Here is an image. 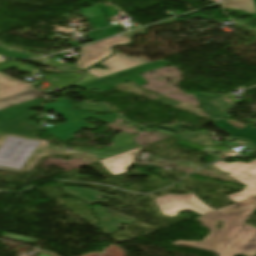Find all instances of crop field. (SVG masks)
<instances>
[{
    "label": "crop field",
    "mask_w": 256,
    "mask_h": 256,
    "mask_svg": "<svg viewBox=\"0 0 256 256\" xmlns=\"http://www.w3.org/2000/svg\"><path fill=\"white\" fill-rule=\"evenodd\" d=\"M255 209L256 197L204 214L196 220L211 231L203 241L172 245L202 248L218 256H256V228L244 224ZM217 220L223 221V230H215Z\"/></svg>",
    "instance_id": "1"
},
{
    "label": "crop field",
    "mask_w": 256,
    "mask_h": 256,
    "mask_svg": "<svg viewBox=\"0 0 256 256\" xmlns=\"http://www.w3.org/2000/svg\"><path fill=\"white\" fill-rule=\"evenodd\" d=\"M81 52L82 55L79 57V60L75 66L82 70L85 68H89L95 63L101 61L103 58L114 54L111 49L98 43L81 48ZM145 63L148 62L145 60L130 59L129 57L121 53H116L106 61L100 63L107 66L108 70L105 71L102 69H89L86 72L97 78H100Z\"/></svg>",
    "instance_id": "2"
},
{
    "label": "crop field",
    "mask_w": 256,
    "mask_h": 256,
    "mask_svg": "<svg viewBox=\"0 0 256 256\" xmlns=\"http://www.w3.org/2000/svg\"><path fill=\"white\" fill-rule=\"evenodd\" d=\"M46 108L56 111L67 122L55 127L44 128L45 131L50 133L55 138L65 142L73 139L74 133L82 128L95 129L96 127L85 122L84 119L93 118L100 122L112 123L118 116L109 115H94V114H81L73 111L71 102L66 99L47 103Z\"/></svg>",
    "instance_id": "3"
},
{
    "label": "crop field",
    "mask_w": 256,
    "mask_h": 256,
    "mask_svg": "<svg viewBox=\"0 0 256 256\" xmlns=\"http://www.w3.org/2000/svg\"><path fill=\"white\" fill-rule=\"evenodd\" d=\"M42 103L43 101L37 98L14 107L0 110V132L32 137L39 130V127L29 120L35 118V116L28 110L41 107Z\"/></svg>",
    "instance_id": "4"
},
{
    "label": "crop field",
    "mask_w": 256,
    "mask_h": 256,
    "mask_svg": "<svg viewBox=\"0 0 256 256\" xmlns=\"http://www.w3.org/2000/svg\"><path fill=\"white\" fill-rule=\"evenodd\" d=\"M212 165L221 171L230 172V177L242 184H246L242 191L226 195L228 199L237 203L256 196V160L250 164L220 161Z\"/></svg>",
    "instance_id": "5"
},
{
    "label": "crop field",
    "mask_w": 256,
    "mask_h": 256,
    "mask_svg": "<svg viewBox=\"0 0 256 256\" xmlns=\"http://www.w3.org/2000/svg\"><path fill=\"white\" fill-rule=\"evenodd\" d=\"M165 65L169 64L163 60H159L129 70H125L113 75H109L77 87L85 89H96L100 92H104L113 89V87L119 85V83L128 81H135L137 85L140 86L146 84V81L142 78V76L139 73L149 71Z\"/></svg>",
    "instance_id": "6"
},
{
    "label": "crop field",
    "mask_w": 256,
    "mask_h": 256,
    "mask_svg": "<svg viewBox=\"0 0 256 256\" xmlns=\"http://www.w3.org/2000/svg\"><path fill=\"white\" fill-rule=\"evenodd\" d=\"M43 96L31 83L9 78L0 72V109Z\"/></svg>",
    "instance_id": "7"
},
{
    "label": "crop field",
    "mask_w": 256,
    "mask_h": 256,
    "mask_svg": "<svg viewBox=\"0 0 256 256\" xmlns=\"http://www.w3.org/2000/svg\"><path fill=\"white\" fill-rule=\"evenodd\" d=\"M154 200L161 213L169 217L178 215L177 212L185 210H192L200 215L214 211L202 203L193 193L186 195L171 194Z\"/></svg>",
    "instance_id": "8"
},
{
    "label": "crop field",
    "mask_w": 256,
    "mask_h": 256,
    "mask_svg": "<svg viewBox=\"0 0 256 256\" xmlns=\"http://www.w3.org/2000/svg\"><path fill=\"white\" fill-rule=\"evenodd\" d=\"M133 135L127 133H119L112 141L110 147L105 150H97L95 148L89 149L95 157L99 160L140 147V145L133 141Z\"/></svg>",
    "instance_id": "9"
},
{
    "label": "crop field",
    "mask_w": 256,
    "mask_h": 256,
    "mask_svg": "<svg viewBox=\"0 0 256 256\" xmlns=\"http://www.w3.org/2000/svg\"><path fill=\"white\" fill-rule=\"evenodd\" d=\"M94 210L100 219V227L104 234H110L121 229L116 225L118 223L131 224L137 221L136 218L124 216L102 206L95 207Z\"/></svg>",
    "instance_id": "10"
},
{
    "label": "crop field",
    "mask_w": 256,
    "mask_h": 256,
    "mask_svg": "<svg viewBox=\"0 0 256 256\" xmlns=\"http://www.w3.org/2000/svg\"><path fill=\"white\" fill-rule=\"evenodd\" d=\"M141 147L101 160L100 162L114 175L125 173L128 166L132 164Z\"/></svg>",
    "instance_id": "11"
},
{
    "label": "crop field",
    "mask_w": 256,
    "mask_h": 256,
    "mask_svg": "<svg viewBox=\"0 0 256 256\" xmlns=\"http://www.w3.org/2000/svg\"><path fill=\"white\" fill-rule=\"evenodd\" d=\"M214 124L230 134L233 138L239 137L248 140L254 146H256V128H252L255 124H249L242 130L235 129L231 124H229L226 119L218 120Z\"/></svg>",
    "instance_id": "12"
},
{
    "label": "crop field",
    "mask_w": 256,
    "mask_h": 256,
    "mask_svg": "<svg viewBox=\"0 0 256 256\" xmlns=\"http://www.w3.org/2000/svg\"><path fill=\"white\" fill-rule=\"evenodd\" d=\"M196 99L202 106L203 111L213 120H218L224 118L221 112L212 104V100L222 96V95H209V94H194Z\"/></svg>",
    "instance_id": "13"
},
{
    "label": "crop field",
    "mask_w": 256,
    "mask_h": 256,
    "mask_svg": "<svg viewBox=\"0 0 256 256\" xmlns=\"http://www.w3.org/2000/svg\"><path fill=\"white\" fill-rule=\"evenodd\" d=\"M62 188L65 189L70 194L75 195L79 198H82V199L88 201L89 204L105 201V200L96 198L97 195L111 197V198H115V199L120 198V197H116V196H109V195L97 192L95 190H92V189H84V188H78V187H62ZM76 192H79V193L77 194ZM96 199H98L97 202H95Z\"/></svg>",
    "instance_id": "14"
},
{
    "label": "crop field",
    "mask_w": 256,
    "mask_h": 256,
    "mask_svg": "<svg viewBox=\"0 0 256 256\" xmlns=\"http://www.w3.org/2000/svg\"><path fill=\"white\" fill-rule=\"evenodd\" d=\"M223 6L227 8L239 9L248 13H256L253 0H226Z\"/></svg>",
    "instance_id": "15"
},
{
    "label": "crop field",
    "mask_w": 256,
    "mask_h": 256,
    "mask_svg": "<svg viewBox=\"0 0 256 256\" xmlns=\"http://www.w3.org/2000/svg\"><path fill=\"white\" fill-rule=\"evenodd\" d=\"M77 108H79L83 111H97V112H105V113H117V112L111 110L107 103H92V104H89L87 101H85V102H82V103L78 104Z\"/></svg>",
    "instance_id": "16"
},
{
    "label": "crop field",
    "mask_w": 256,
    "mask_h": 256,
    "mask_svg": "<svg viewBox=\"0 0 256 256\" xmlns=\"http://www.w3.org/2000/svg\"><path fill=\"white\" fill-rule=\"evenodd\" d=\"M130 42H131V39H129L123 35H120V36H116L114 38H111V39H108L105 41H101L99 43L110 48L111 46H114V45L128 44Z\"/></svg>",
    "instance_id": "17"
},
{
    "label": "crop field",
    "mask_w": 256,
    "mask_h": 256,
    "mask_svg": "<svg viewBox=\"0 0 256 256\" xmlns=\"http://www.w3.org/2000/svg\"><path fill=\"white\" fill-rule=\"evenodd\" d=\"M0 54L7 56V57H13V58H29V57H31V55H27L25 53L13 52L10 50H6L2 47H0Z\"/></svg>",
    "instance_id": "18"
},
{
    "label": "crop field",
    "mask_w": 256,
    "mask_h": 256,
    "mask_svg": "<svg viewBox=\"0 0 256 256\" xmlns=\"http://www.w3.org/2000/svg\"><path fill=\"white\" fill-rule=\"evenodd\" d=\"M98 7L108 18L116 15L115 10L110 6L105 7L103 4H101V5H98Z\"/></svg>",
    "instance_id": "19"
},
{
    "label": "crop field",
    "mask_w": 256,
    "mask_h": 256,
    "mask_svg": "<svg viewBox=\"0 0 256 256\" xmlns=\"http://www.w3.org/2000/svg\"><path fill=\"white\" fill-rule=\"evenodd\" d=\"M156 101L162 102V103H165V104H168V105H172V106H175V105L180 103V102H177V101L165 98V97H162V98H160V99H158Z\"/></svg>",
    "instance_id": "20"
},
{
    "label": "crop field",
    "mask_w": 256,
    "mask_h": 256,
    "mask_svg": "<svg viewBox=\"0 0 256 256\" xmlns=\"http://www.w3.org/2000/svg\"><path fill=\"white\" fill-rule=\"evenodd\" d=\"M254 3H255V7H256V0H254Z\"/></svg>",
    "instance_id": "21"
},
{
    "label": "crop field",
    "mask_w": 256,
    "mask_h": 256,
    "mask_svg": "<svg viewBox=\"0 0 256 256\" xmlns=\"http://www.w3.org/2000/svg\"><path fill=\"white\" fill-rule=\"evenodd\" d=\"M2 61H5V60H0V62H2Z\"/></svg>",
    "instance_id": "22"
}]
</instances>
